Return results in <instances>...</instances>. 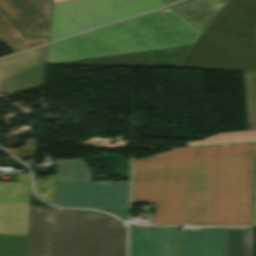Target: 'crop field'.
<instances>
[{"mask_svg": "<svg viewBox=\"0 0 256 256\" xmlns=\"http://www.w3.org/2000/svg\"><path fill=\"white\" fill-rule=\"evenodd\" d=\"M256 144L175 149L133 160L132 203L155 225H253Z\"/></svg>", "mask_w": 256, "mask_h": 256, "instance_id": "crop-field-1", "label": "crop field"}, {"mask_svg": "<svg viewBox=\"0 0 256 256\" xmlns=\"http://www.w3.org/2000/svg\"><path fill=\"white\" fill-rule=\"evenodd\" d=\"M201 33L157 11L50 44L47 64L174 67Z\"/></svg>", "mask_w": 256, "mask_h": 256, "instance_id": "crop-field-2", "label": "crop field"}, {"mask_svg": "<svg viewBox=\"0 0 256 256\" xmlns=\"http://www.w3.org/2000/svg\"><path fill=\"white\" fill-rule=\"evenodd\" d=\"M126 228L94 211L31 208L27 256H125Z\"/></svg>", "mask_w": 256, "mask_h": 256, "instance_id": "crop-field-3", "label": "crop field"}, {"mask_svg": "<svg viewBox=\"0 0 256 256\" xmlns=\"http://www.w3.org/2000/svg\"><path fill=\"white\" fill-rule=\"evenodd\" d=\"M55 205L102 209L127 220L128 183L91 182L82 159L57 160Z\"/></svg>", "mask_w": 256, "mask_h": 256, "instance_id": "crop-field-4", "label": "crop field"}, {"mask_svg": "<svg viewBox=\"0 0 256 256\" xmlns=\"http://www.w3.org/2000/svg\"><path fill=\"white\" fill-rule=\"evenodd\" d=\"M164 6L162 0H67L54 5L50 42Z\"/></svg>", "mask_w": 256, "mask_h": 256, "instance_id": "crop-field-5", "label": "crop field"}, {"mask_svg": "<svg viewBox=\"0 0 256 256\" xmlns=\"http://www.w3.org/2000/svg\"><path fill=\"white\" fill-rule=\"evenodd\" d=\"M175 68L256 70V43L204 31Z\"/></svg>", "mask_w": 256, "mask_h": 256, "instance_id": "crop-field-6", "label": "crop field"}, {"mask_svg": "<svg viewBox=\"0 0 256 256\" xmlns=\"http://www.w3.org/2000/svg\"><path fill=\"white\" fill-rule=\"evenodd\" d=\"M17 181H30L18 174ZM31 191L0 182V256H26Z\"/></svg>", "mask_w": 256, "mask_h": 256, "instance_id": "crop-field-7", "label": "crop field"}, {"mask_svg": "<svg viewBox=\"0 0 256 256\" xmlns=\"http://www.w3.org/2000/svg\"><path fill=\"white\" fill-rule=\"evenodd\" d=\"M177 256H253V228L178 232Z\"/></svg>", "mask_w": 256, "mask_h": 256, "instance_id": "crop-field-8", "label": "crop field"}, {"mask_svg": "<svg viewBox=\"0 0 256 256\" xmlns=\"http://www.w3.org/2000/svg\"><path fill=\"white\" fill-rule=\"evenodd\" d=\"M46 46L0 59V92L16 93L42 85Z\"/></svg>", "mask_w": 256, "mask_h": 256, "instance_id": "crop-field-9", "label": "crop field"}, {"mask_svg": "<svg viewBox=\"0 0 256 256\" xmlns=\"http://www.w3.org/2000/svg\"><path fill=\"white\" fill-rule=\"evenodd\" d=\"M0 8L27 36H49L53 0H0Z\"/></svg>", "mask_w": 256, "mask_h": 256, "instance_id": "crop-field-10", "label": "crop field"}, {"mask_svg": "<svg viewBox=\"0 0 256 256\" xmlns=\"http://www.w3.org/2000/svg\"><path fill=\"white\" fill-rule=\"evenodd\" d=\"M206 30L254 42L256 0H230Z\"/></svg>", "mask_w": 256, "mask_h": 256, "instance_id": "crop-field-11", "label": "crop field"}, {"mask_svg": "<svg viewBox=\"0 0 256 256\" xmlns=\"http://www.w3.org/2000/svg\"><path fill=\"white\" fill-rule=\"evenodd\" d=\"M176 227H132L131 256H176Z\"/></svg>", "mask_w": 256, "mask_h": 256, "instance_id": "crop-field-12", "label": "crop field"}, {"mask_svg": "<svg viewBox=\"0 0 256 256\" xmlns=\"http://www.w3.org/2000/svg\"><path fill=\"white\" fill-rule=\"evenodd\" d=\"M244 95L248 131L220 133L188 146L256 141V71H244Z\"/></svg>", "mask_w": 256, "mask_h": 256, "instance_id": "crop-field-13", "label": "crop field"}, {"mask_svg": "<svg viewBox=\"0 0 256 256\" xmlns=\"http://www.w3.org/2000/svg\"><path fill=\"white\" fill-rule=\"evenodd\" d=\"M229 0H187L172 7L205 30Z\"/></svg>", "mask_w": 256, "mask_h": 256, "instance_id": "crop-field-14", "label": "crop field"}, {"mask_svg": "<svg viewBox=\"0 0 256 256\" xmlns=\"http://www.w3.org/2000/svg\"><path fill=\"white\" fill-rule=\"evenodd\" d=\"M0 41L14 53L48 42V38H28L0 12Z\"/></svg>", "mask_w": 256, "mask_h": 256, "instance_id": "crop-field-15", "label": "crop field"}, {"mask_svg": "<svg viewBox=\"0 0 256 256\" xmlns=\"http://www.w3.org/2000/svg\"><path fill=\"white\" fill-rule=\"evenodd\" d=\"M165 2H167L168 4L172 3V2H175V1H178V0H164ZM173 4V3H172Z\"/></svg>", "mask_w": 256, "mask_h": 256, "instance_id": "crop-field-16", "label": "crop field"}, {"mask_svg": "<svg viewBox=\"0 0 256 256\" xmlns=\"http://www.w3.org/2000/svg\"><path fill=\"white\" fill-rule=\"evenodd\" d=\"M61 1H64V0H54V4L58 3V2H61Z\"/></svg>", "mask_w": 256, "mask_h": 256, "instance_id": "crop-field-17", "label": "crop field"}, {"mask_svg": "<svg viewBox=\"0 0 256 256\" xmlns=\"http://www.w3.org/2000/svg\"><path fill=\"white\" fill-rule=\"evenodd\" d=\"M255 225H256V213H255Z\"/></svg>", "mask_w": 256, "mask_h": 256, "instance_id": "crop-field-18", "label": "crop field"}, {"mask_svg": "<svg viewBox=\"0 0 256 256\" xmlns=\"http://www.w3.org/2000/svg\"><path fill=\"white\" fill-rule=\"evenodd\" d=\"M255 42H256V40H255Z\"/></svg>", "mask_w": 256, "mask_h": 256, "instance_id": "crop-field-19", "label": "crop field"}]
</instances>
